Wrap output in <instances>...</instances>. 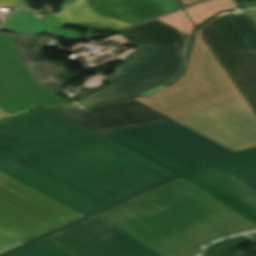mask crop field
<instances>
[{
	"instance_id": "1",
	"label": "crop field",
	"mask_w": 256,
	"mask_h": 256,
	"mask_svg": "<svg viewBox=\"0 0 256 256\" xmlns=\"http://www.w3.org/2000/svg\"><path fill=\"white\" fill-rule=\"evenodd\" d=\"M0 170L84 215L176 176L51 109L0 122Z\"/></svg>"
},
{
	"instance_id": "2",
	"label": "crop field",
	"mask_w": 256,
	"mask_h": 256,
	"mask_svg": "<svg viewBox=\"0 0 256 256\" xmlns=\"http://www.w3.org/2000/svg\"><path fill=\"white\" fill-rule=\"evenodd\" d=\"M101 216L162 256H200L218 239L256 224L179 177Z\"/></svg>"
},
{
	"instance_id": "3",
	"label": "crop field",
	"mask_w": 256,
	"mask_h": 256,
	"mask_svg": "<svg viewBox=\"0 0 256 256\" xmlns=\"http://www.w3.org/2000/svg\"><path fill=\"white\" fill-rule=\"evenodd\" d=\"M200 34L176 84L134 99L233 152L256 147V114Z\"/></svg>"
},
{
	"instance_id": "4",
	"label": "crop field",
	"mask_w": 256,
	"mask_h": 256,
	"mask_svg": "<svg viewBox=\"0 0 256 256\" xmlns=\"http://www.w3.org/2000/svg\"><path fill=\"white\" fill-rule=\"evenodd\" d=\"M53 110L177 175L233 153L132 98Z\"/></svg>"
},
{
	"instance_id": "5",
	"label": "crop field",
	"mask_w": 256,
	"mask_h": 256,
	"mask_svg": "<svg viewBox=\"0 0 256 256\" xmlns=\"http://www.w3.org/2000/svg\"><path fill=\"white\" fill-rule=\"evenodd\" d=\"M138 50L128 54L116 74L104 79L112 86L80 104L146 93L172 82L182 73L190 35L159 20L120 32Z\"/></svg>"
},
{
	"instance_id": "6",
	"label": "crop field",
	"mask_w": 256,
	"mask_h": 256,
	"mask_svg": "<svg viewBox=\"0 0 256 256\" xmlns=\"http://www.w3.org/2000/svg\"><path fill=\"white\" fill-rule=\"evenodd\" d=\"M61 4L62 11L52 14L58 21L100 32L116 31L181 8L177 0H67ZM1 6L28 7L25 0H0Z\"/></svg>"
},
{
	"instance_id": "7",
	"label": "crop field",
	"mask_w": 256,
	"mask_h": 256,
	"mask_svg": "<svg viewBox=\"0 0 256 256\" xmlns=\"http://www.w3.org/2000/svg\"><path fill=\"white\" fill-rule=\"evenodd\" d=\"M0 213L42 235L83 216L1 171Z\"/></svg>"
},
{
	"instance_id": "8",
	"label": "crop field",
	"mask_w": 256,
	"mask_h": 256,
	"mask_svg": "<svg viewBox=\"0 0 256 256\" xmlns=\"http://www.w3.org/2000/svg\"><path fill=\"white\" fill-rule=\"evenodd\" d=\"M48 237L75 256H160L98 214Z\"/></svg>"
},
{
	"instance_id": "9",
	"label": "crop field",
	"mask_w": 256,
	"mask_h": 256,
	"mask_svg": "<svg viewBox=\"0 0 256 256\" xmlns=\"http://www.w3.org/2000/svg\"><path fill=\"white\" fill-rule=\"evenodd\" d=\"M12 35H0V107L12 114L33 106L72 103L43 88L22 64Z\"/></svg>"
},
{
	"instance_id": "10",
	"label": "crop field",
	"mask_w": 256,
	"mask_h": 256,
	"mask_svg": "<svg viewBox=\"0 0 256 256\" xmlns=\"http://www.w3.org/2000/svg\"><path fill=\"white\" fill-rule=\"evenodd\" d=\"M198 30L205 34L207 41L256 110V66L220 14L205 22Z\"/></svg>"
},
{
	"instance_id": "11",
	"label": "crop field",
	"mask_w": 256,
	"mask_h": 256,
	"mask_svg": "<svg viewBox=\"0 0 256 256\" xmlns=\"http://www.w3.org/2000/svg\"><path fill=\"white\" fill-rule=\"evenodd\" d=\"M14 44L28 69L42 83L55 92H61V85L67 83L68 73L63 62L45 61L42 59L44 39L16 35Z\"/></svg>"
},
{
	"instance_id": "12",
	"label": "crop field",
	"mask_w": 256,
	"mask_h": 256,
	"mask_svg": "<svg viewBox=\"0 0 256 256\" xmlns=\"http://www.w3.org/2000/svg\"><path fill=\"white\" fill-rule=\"evenodd\" d=\"M211 165L256 193V150L233 155Z\"/></svg>"
},
{
	"instance_id": "13",
	"label": "crop field",
	"mask_w": 256,
	"mask_h": 256,
	"mask_svg": "<svg viewBox=\"0 0 256 256\" xmlns=\"http://www.w3.org/2000/svg\"><path fill=\"white\" fill-rule=\"evenodd\" d=\"M64 27L54 17H44L40 20L35 19L32 10H24L21 12L10 13L7 15L4 28L19 33L38 35L46 31L51 33Z\"/></svg>"
},
{
	"instance_id": "14",
	"label": "crop field",
	"mask_w": 256,
	"mask_h": 256,
	"mask_svg": "<svg viewBox=\"0 0 256 256\" xmlns=\"http://www.w3.org/2000/svg\"><path fill=\"white\" fill-rule=\"evenodd\" d=\"M247 53L256 64V23L246 9L221 13Z\"/></svg>"
},
{
	"instance_id": "15",
	"label": "crop field",
	"mask_w": 256,
	"mask_h": 256,
	"mask_svg": "<svg viewBox=\"0 0 256 256\" xmlns=\"http://www.w3.org/2000/svg\"><path fill=\"white\" fill-rule=\"evenodd\" d=\"M256 211V194L208 165L194 171Z\"/></svg>"
},
{
	"instance_id": "16",
	"label": "crop field",
	"mask_w": 256,
	"mask_h": 256,
	"mask_svg": "<svg viewBox=\"0 0 256 256\" xmlns=\"http://www.w3.org/2000/svg\"><path fill=\"white\" fill-rule=\"evenodd\" d=\"M184 179L188 180L192 184L196 185L203 191L207 192L211 196L215 197L219 201L223 202L230 208L234 209L238 213L242 214L249 220L256 223V212L252 210L251 208L247 207L240 201L236 200L226 192L222 191L215 185L211 184L201 176L197 175L196 173L192 172L190 174L182 176Z\"/></svg>"
},
{
	"instance_id": "17",
	"label": "crop field",
	"mask_w": 256,
	"mask_h": 256,
	"mask_svg": "<svg viewBox=\"0 0 256 256\" xmlns=\"http://www.w3.org/2000/svg\"><path fill=\"white\" fill-rule=\"evenodd\" d=\"M7 256H73L68 251L45 237Z\"/></svg>"
},
{
	"instance_id": "18",
	"label": "crop field",
	"mask_w": 256,
	"mask_h": 256,
	"mask_svg": "<svg viewBox=\"0 0 256 256\" xmlns=\"http://www.w3.org/2000/svg\"><path fill=\"white\" fill-rule=\"evenodd\" d=\"M0 232L21 242L26 243L29 240L41 236L40 234L18 224L17 222L0 214Z\"/></svg>"
},
{
	"instance_id": "19",
	"label": "crop field",
	"mask_w": 256,
	"mask_h": 256,
	"mask_svg": "<svg viewBox=\"0 0 256 256\" xmlns=\"http://www.w3.org/2000/svg\"><path fill=\"white\" fill-rule=\"evenodd\" d=\"M227 8H233L230 0H212L186 9V11L197 25L215 11Z\"/></svg>"
},
{
	"instance_id": "20",
	"label": "crop field",
	"mask_w": 256,
	"mask_h": 256,
	"mask_svg": "<svg viewBox=\"0 0 256 256\" xmlns=\"http://www.w3.org/2000/svg\"><path fill=\"white\" fill-rule=\"evenodd\" d=\"M251 241L247 236L235 237L209 246L204 256H227L233 248Z\"/></svg>"
},
{
	"instance_id": "21",
	"label": "crop field",
	"mask_w": 256,
	"mask_h": 256,
	"mask_svg": "<svg viewBox=\"0 0 256 256\" xmlns=\"http://www.w3.org/2000/svg\"><path fill=\"white\" fill-rule=\"evenodd\" d=\"M159 20L173 26L176 27L188 34H192L193 31V24L191 23V21L189 20V18L186 16V14L182 11L164 16L159 18Z\"/></svg>"
},
{
	"instance_id": "22",
	"label": "crop field",
	"mask_w": 256,
	"mask_h": 256,
	"mask_svg": "<svg viewBox=\"0 0 256 256\" xmlns=\"http://www.w3.org/2000/svg\"><path fill=\"white\" fill-rule=\"evenodd\" d=\"M20 245L22 244L0 233V254L14 249Z\"/></svg>"
},
{
	"instance_id": "23",
	"label": "crop field",
	"mask_w": 256,
	"mask_h": 256,
	"mask_svg": "<svg viewBox=\"0 0 256 256\" xmlns=\"http://www.w3.org/2000/svg\"><path fill=\"white\" fill-rule=\"evenodd\" d=\"M51 34H55V35H59V36H63V37H68V38H81L82 34L80 33H76L73 31H69V30H63L60 29L56 32H53Z\"/></svg>"
},
{
	"instance_id": "24",
	"label": "crop field",
	"mask_w": 256,
	"mask_h": 256,
	"mask_svg": "<svg viewBox=\"0 0 256 256\" xmlns=\"http://www.w3.org/2000/svg\"><path fill=\"white\" fill-rule=\"evenodd\" d=\"M102 78H104V76L98 74V75H96V76L90 78L91 81L86 82L84 86H85V87L101 86V85H102V84H101L102 81H100V79H102Z\"/></svg>"
},
{
	"instance_id": "25",
	"label": "crop field",
	"mask_w": 256,
	"mask_h": 256,
	"mask_svg": "<svg viewBox=\"0 0 256 256\" xmlns=\"http://www.w3.org/2000/svg\"><path fill=\"white\" fill-rule=\"evenodd\" d=\"M237 6H256V0H234Z\"/></svg>"
},
{
	"instance_id": "26",
	"label": "crop field",
	"mask_w": 256,
	"mask_h": 256,
	"mask_svg": "<svg viewBox=\"0 0 256 256\" xmlns=\"http://www.w3.org/2000/svg\"><path fill=\"white\" fill-rule=\"evenodd\" d=\"M106 39H111V40H114V41H117V42H120V43H123V44H130L123 36H121L120 34L119 35H115V36H111V37H108ZM105 39V40H106Z\"/></svg>"
},
{
	"instance_id": "27",
	"label": "crop field",
	"mask_w": 256,
	"mask_h": 256,
	"mask_svg": "<svg viewBox=\"0 0 256 256\" xmlns=\"http://www.w3.org/2000/svg\"><path fill=\"white\" fill-rule=\"evenodd\" d=\"M247 11L250 13V15L252 16V18L255 20L256 22V9H247Z\"/></svg>"
},
{
	"instance_id": "28",
	"label": "crop field",
	"mask_w": 256,
	"mask_h": 256,
	"mask_svg": "<svg viewBox=\"0 0 256 256\" xmlns=\"http://www.w3.org/2000/svg\"><path fill=\"white\" fill-rule=\"evenodd\" d=\"M197 1H200V0H181L183 6L197 2Z\"/></svg>"
},
{
	"instance_id": "29",
	"label": "crop field",
	"mask_w": 256,
	"mask_h": 256,
	"mask_svg": "<svg viewBox=\"0 0 256 256\" xmlns=\"http://www.w3.org/2000/svg\"><path fill=\"white\" fill-rule=\"evenodd\" d=\"M10 114H8L7 112H5L3 109L0 108V118L8 116Z\"/></svg>"
},
{
	"instance_id": "30",
	"label": "crop field",
	"mask_w": 256,
	"mask_h": 256,
	"mask_svg": "<svg viewBox=\"0 0 256 256\" xmlns=\"http://www.w3.org/2000/svg\"><path fill=\"white\" fill-rule=\"evenodd\" d=\"M249 236H251L252 238L256 239V233H254V234H249Z\"/></svg>"
},
{
	"instance_id": "31",
	"label": "crop field",
	"mask_w": 256,
	"mask_h": 256,
	"mask_svg": "<svg viewBox=\"0 0 256 256\" xmlns=\"http://www.w3.org/2000/svg\"><path fill=\"white\" fill-rule=\"evenodd\" d=\"M228 256H235V255H233L232 253H229V255Z\"/></svg>"
}]
</instances>
